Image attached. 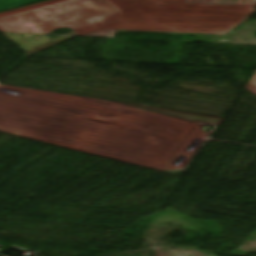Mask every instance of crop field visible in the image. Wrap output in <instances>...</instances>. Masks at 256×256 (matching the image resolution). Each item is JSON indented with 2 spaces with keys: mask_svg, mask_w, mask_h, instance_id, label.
<instances>
[{
  "mask_svg": "<svg viewBox=\"0 0 256 256\" xmlns=\"http://www.w3.org/2000/svg\"><path fill=\"white\" fill-rule=\"evenodd\" d=\"M7 1H11V0H0V3L7 2Z\"/></svg>",
  "mask_w": 256,
  "mask_h": 256,
  "instance_id": "obj_3",
  "label": "crop field"
},
{
  "mask_svg": "<svg viewBox=\"0 0 256 256\" xmlns=\"http://www.w3.org/2000/svg\"><path fill=\"white\" fill-rule=\"evenodd\" d=\"M35 1H39V0H15L7 3H3V4H0V10L20 6V5L35 2Z\"/></svg>",
  "mask_w": 256,
  "mask_h": 256,
  "instance_id": "obj_2",
  "label": "crop field"
},
{
  "mask_svg": "<svg viewBox=\"0 0 256 256\" xmlns=\"http://www.w3.org/2000/svg\"><path fill=\"white\" fill-rule=\"evenodd\" d=\"M185 0H53L0 14V28L51 32L92 29L226 35L248 7L183 3Z\"/></svg>",
  "mask_w": 256,
  "mask_h": 256,
  "instance_id": "obj_1",
  "label": "crop field"
}]
</instances>
